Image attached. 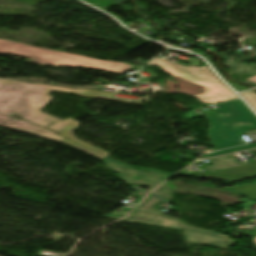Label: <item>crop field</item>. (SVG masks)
<instances>
[{"label": "crop field", "mask_w": 256, "mask_h": 256, "mask_svg": "<svg viewBox=\"0 0 256 256\" xmlns=\"http://www.w3.org/2000/svg\"><path fill=\"white\" fill-rule=\"evenodd\" d=\"M206 117L211 125L208 137L217 149L245 144L240 136L256 128V119L241 100L223 104L220 110L207 112Z\"/></svg>", "instance_id": "crop-field-2"}, {"label": "crop field", "mask_w": 256, "mask_h": 256, "mask_svg": "<svg viewBox=\"0 0 256 256\" xmlns=\"http://www.w3.org/2000/svg\"><path fill=\"white\" fill-rule=\"evenodd\" d=\"M180 221H181V225H182V227H184V228L200 230V229H196V228L189 227V226L185 225V223H184V221H183V220H180ZM200 231H204V230H200ZM205 232H209V231H205ZM209 233H213V232H209ZM213 234H218V233H213ZM218 235H222V234H218ZM222 236H226V235H222ZM226 237H228V236H226Z\"/></svg>", "instance_id": "crop-field-11"}, {"label": "crop field", "mask_w": 256, "mask_h": 256, "mask_svg": "<svg viewBox=\"0 0 256 256\" xmlns=\"http://www.w3.org/2000/svg\"><path fill=\"white\" fill-rule=\"evenodd\" d=\"M237 91H241V90H245V89H249L248 87H245V86H242V85H234V84H231Z\"/></svg>", "instance_id": "crop-field-12"}, {"label": "crop field", "mask_w": 256, "mask_h": 256, "mask_svg": "<svg viewBox=\"0 0 256 256\" xmlns=\"http://www.w3.org/2000/svg\"><path fill=\"white\" fill-rule=\"evenodd\" d=\"M183 234H184L185 243L193 244V245L207 244V245L225 249L238 242L228 238L195 232V231H191L184 228H183Z\"/></svg>", "instance_id": "crop-field-6"}, {"label": "crop field", "mask_w": 256, "mask_h": 256, "mask_svg": "<svg viewBox=\"0 0 256 256\" xmlns=\"http://www.w3.org/2000/svg\"><path fill=\"white\" fill-rule=\"evenodd\" d=\"M254 241H255V243H256V237H254Z\"/></svg>", "instance_id": "crop-field-14"}, {"label": "crop field", "mask_w": 256, "mask_h": 256, "mask_svg": "<svg viewBox=\"0 0 256 256\" xmlns=\"http://www.w3.org/2000/svg\"><path fill=\"white\" fill-rule=\"evenodd\" d=\"M225 190L239 193L245 197L252 199L253 201H256V183L252 185L226 188Z\"/></svg>", "instance_id": "crop-field-7"}, {"label": "crop field", "mask_w": 256, "mask_h": 256, "mask_svg": "<svg viewBox=\"0 0 256 256\" xmlns=\"http://www.w3.org/2000/svg\"><path fill=\"white\" fill-rule=\"evenodd\" d=\"M241 95L246 99L251 107L256 110V94L252 91H248L245 93H241Z\"/></svg>", "instance_id": "crop-field-10"}, {"label": "crop field", "mask_w": 256, "mask_h": 256, "mask_svg": "<svg viewBox=\"0 0 256 256\" xmlns=\"http://www.w3.org/2000/svg\"><path fill=\"white\" fill-rule=\"evenodd\" d=\"M254 147H256V144L241 146V147H235V148H230V149H226V150H221V151L209 153V154H207L203 157L205 158V157H210V156H214V155H218V154H227V153H232V152H236V151H239V150L249 149V148H254Z\"/></svg>", "instance_id": "crop-field-8"}, {"label": "crop field", "mask_w": 256, "mask_h": 256, "mask_svg": "<svg viewBox=\"0 0 256 256\" xmlns=\"http://www.w3.org/2000/svg\"><path fill=\"white\" fill-rule=\"evenodd\" d=\"M194 177L217 178V179L230 180V181L244 180V179L256 177V163L235 167V168H230L226 170L201 174Z\"/></svg>", "instance_id": "crop-field-5"}, {"label": "crop field", "mask_w": 256, "mask_h": 256, "mask_svg": "<svg viewBox=\"0 0 256 256\" xmlns=\"http://www.w3.org/2000/svg\"><path fill=\"white\" fill-rule=\"evenodd\" d=\"M52 90L73 92L80 96L118 100L141 104L137 101L112 98L114 93L85 89H68L43 84H28L0 78V126L33 134L50 140L70 144L100 159L110 154L76 138L72 130L79 122L68 118L64 121L41 112L54 97Z\"/></svg>", "instance_id": "crop-field-1"}, {"label": "crop field", "mask_w": 256, "mask_h": 256, "mask_svg": "<svg viewBox=\"0 0 256 256\" xmlns=\"http://www.w3.org/2000/svg\"><path fill=\"white\" fill-rule=\"evenodd\" d=\"M148 64L162 66L163 71L171 75L180 76L186 81L205 86L201 94L194 95V97H197L201 102L213 104L238 98L217 79L207 66L184 67L160 57Z\"/></svg>", "instance_id": "crop-field-4"}, {"label": "crop field", "mask_w": 256, "mask_h": 256, "mask_svg": "<svg viewBox=\"0 0 256 256\" xmlns=\"http://www.w3.org/2000/svg\"><path fill=\"white\" fill-rule=\"evenodd\" d=\"M0 54L21 55L33 60L30 62H37L45 65L93 67L111 70L118 74L133 67L119 62L99 61L80 55L63 53L5 40H0Z\"/></svg>", "instance_id": "crop-field-3"}, {"label": "crop field", "mask_w": 256, "mask_h": 256, "mask_svg": "<svg viewBox=\"0 0 256 256\" xmlns=\"http://www.w3.org/2000/svg\"><path fill=\"white\" fill-rule=\"evenodd\" d=\"M103 9H106L118 2L124 1V0H87Z\"/></svg>", "instance_id": "crop-field-9"}, {"label": "crop field", "mask_w": 256, "mask_h": 256, "mask_svg": "<svg viewBox=\"0 0 256 256\" xmlns=\"http://www.w3.org/2000/svg\"><path fill=\"white\" fill-rule=\"evenodd\" d=\"M244 80L256 84V76Z\"/></svg>", "instance_id": "crop-field-13"}]
</instances>
